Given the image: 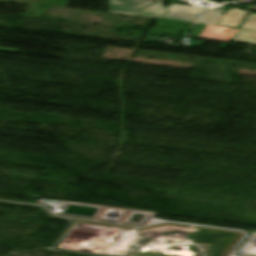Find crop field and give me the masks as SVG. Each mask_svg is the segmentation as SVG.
<instances>
[{"mask_svg": "<svg viewBox=\"0 0 256 256\" xmlns=\"http://www.w3.org/2000/svg\"><path fill=\"white\" fill-rule=\"evenodd\" d=\"M224 12L225 10H217V9L211 10L204 17H202L201 20L197 23L217 25L218 21L220 20Z\"/></svg>", "mask_w": 256, "mask_h": 256, "instance_id": "2", "label": "crop field"}, {"mask_svg": "<svg viewBox=\"0 0 256 256\" xmlns=\"http://www.w3.org/2000/svg\"><path fill=\"white\" fill-rule=\"evenodd\" d=\"M110 12L112 14L178 20L184 22L195 23L197 14L202 15L207 8L181 6L171 4L170 7L165 8L164 3L147 2L137 0H109Z\"/></svg>", "mask_w": 256, "mask_h": 256, "instance_id": "1", "label": "crop field"}]
</instances>
